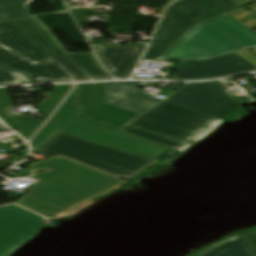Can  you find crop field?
I'll return each instance as SVG.
<instances>
[{
  "mask_svg": "<svg viewBox=\"0 0 256 256\" xmlns=\"http://www.w3.org/2000/svg\"><path fill=\"white\" fill-rule=\"evenodd\" d=\"M0 64L52 82L111 77L93 53L68 54L35 17L0 22Z\"/></svg>",
  "mask_w": 256,
  "mask_h": 256,
  "instance_id": "obj_1",
  "label": "crop field"
},
{
  "mask_svg": "<svg viewBox=\"0 0 256 256\" xmlns=\"http://www.w3.org/2000/svg\"><path fill=\"white\" fill-rule=\"evenodd\" d=\"M42 168L51 171L32 174ZM29 174L39 181L15 203L49 219L125 182L62 157L32 164Z\"/></svg>",
  "mask_w": 256,
  "mask_h": 256,
  "instance_id": "obj_2",
  "label": "crop field"
},
{
  "mask_svg": "<svg viewBox=\"0 0 256 256\" xmlns=\"http://www.w3.org/2000/svg\"><path fill=\"white\" fill-rule=\"evenodd\" d=\"M76 91L77 87L51 121L30 142L34 151L39 150L58 133H63L160 162L176 152L122 130L119 131L79 116L75 106Z\"/></svg>",
  "mask_w": 256,
  "mask_h": 256,
  "instance_id": "obj_3",
  "label": "crop field"
},
{
  "mask_svg": "<svg viewBox=\"0 0 256 256\" xmlns=\"http://www.w3.org/2000/svg\"><path fill=\"white\" fill-rule=\"evenodd\" d=\"M37 153L62 155L115 176L135 177L157 161L58 134Z\"/></svg>",
  "mask_w": 256,
  "mask_h": 256,
  "instance_id": "obj_4",
  "label": "crop field"
},
{
  "mask_svg": "<svg viewBox=\"0 0 256 256\" xmlns=\"http://www.w3.org/2000/svg\"><path fill=\"white\" fill-rule=\"evenodd\" d=\"M190 7L198 14H177L181 9ZM237 8L239 5L234 0H183L171 4L164 13L143 58L156 60L195 23Z\"/></svg>",
  "mask_w": 256,
  "mask_h": 256,
  "instance_id": "obj_5",
  "label": "crop field"
},
{
  "mask_svg": "<svg viewBox=\"0 0 256 256\" xmlns=\"http://www.w3.org/2000/svg\"><path fill=\"white\" fill-rule=\"evenodd\" d=\"M246 49L248 48L206 20L190 28L157 60H204Z\"/></svg>",
  "mask_w": 256,
  "mask_h": 256,
  "instance_id": "obj_6",
  "label": "crop field"
},
{
  "mask_svg": "<svg viewBox=\"0 0 256 256\" xmlns=\"http://www.w3.org/2000/svg\"><path fill=\"white\" fill-rule=\"evenodd\" d=\"M212 119L162 101L128 125L189 140Z\"/></svg>",
  "mask_w": 256,
  "mask_h": 256,
  "instance_id": "obj_7",
  "label": "crop field"
},
{
  "mask_svg": "<svg viewBox=\"0 0 256 256\" xmlns=\"http://www.w3.org/2000/svg\"><path fill=\"white\" fill-rule=\"evenodd\" d=\"M165 102L216 118L235 101L213 82H207L186 84Z\"/></svg>",
  "mask_w": 256,
  "mask_h": 256,
  "instance_id": "obj_8",
  "label": "crop field"
},
{
  "mask_svg": "<svg viewBox=\"0 0 256 256\" xmlns=\"http://www.w3.org/2000/svg\"><path fill=\"white\" fill-rule=\"evenodd\" d=\"M105 87L106 83L79 85L78 103L83 115L118 129L141 115L104 102Z\"/></svg>",
  "mask_w": 256,
  "mask_h": 256,
  "instance_id": "obj_9",
  "label": "crop field"
},
{
  "mask_svg": "<svg viewBox=\"0 0 256 256\" xmlns=\"http://www.w3.org/2000/svg\"><path fill=\"white\" fill-rule=\"evenodd\" d=\"M42 219L15 205L0 208V256L42 226Z\"/></svg>",
  "mask_w": 256,
  "mask_h": 256,
  "instance_id": "obj_10",
  "label": "crop field"
},
{
  "mask_svg": "<svg viewBox=\"0 0 256 256\" xmlns=\"http://www.w3.org/2000/svg\"><path fill=\"white\" fill-rule=\"evenodd\" d=\"M252 69L256 66L233 53L205 61H183L172 79L219 77Z\"/></svg>",
  "mask_w": 256,
  "mask_h": 256,
  "instance_id": "obj_11",
  "label": "crop field"
},
{
  "mask_svg": "<svg viewBox=\"0 0 256 256\" xmlns=\"http://www.w3.org/2000/svg\"><path fill=\"white\" fill-rule=\"evenodd\" d=\"M146 44H132L128 47L94 46L103 65L115 76H130Z\"/></svg>",
  "mask_w": 256,
  "mask_h": 256,
  "instance_id": "obj_12",
  "label": "crop field"
},
{
  "mask_svg": "<svg viewBox=\"0 0 256 256\" xmlns=\"http://www.w3.org/2000/svg\"><path fill=\"white\" fill-rule=\"evenodd\" d=\"M137 87H143L142 82L107 83L105 101L141 114L162 101L137 94Z\"/></svg>",
  "mask_w": 256,
  "mask_h": 256,
  "instance_id": "obj_13",
  "label": "crop field"
},
{
  "mask_svg": "<svg viewBox=\"0 0 256 256\" xmlns=\"http://www.w3.org/2000/svg\"><path fill=\"white\" fill-rule=\"evenodd\" d=\"M12 103L4 88H0V118L12 129H16L25 139H30L33 134L41 127L44 121L37 120L24 115L15 116L8 108Z\"/></svg>",
  "mask_w": 256,
  "mask_h": 256,
  "instance_id": "obj_14",
  "label": "crop field"
},
{
  "mask_svg": "<svg viewBox=\"0 0 256 256\" xmlns=\"http://www.w3.org/2000/svg\"><path fill=\"white\" fill-rule=\"evenodd\" d=\"M209 20L249 49L256 47V34L228 15L224 14Z\"/></svg>",
  "mask_w": 256,
  "mask_h": 256,
  "instance_id": "obj_15",
  "label": "crop field"
},
{
  "mask_svg": "<svg viewBox=\"0 0 256 256\" xmlns=\"http://www.w3.org/2000/svg\"><path fill=\"white\" fill-rule=\"evenodd\" d=\"M200 256H256V253L241 235L209 248Z\"/></svg>",
  "mask_w": 256,
  "mask_h": 256,
  "instance_id": "obj_16",
  "label": "crop field"
},
{
  "mask_svg": "<svg viewBox=\"0 0 256 256\" xmlns=\"http://www.w3.org/2000/svg\"><path fill=\"white\" fill-rule=\"evenodd\" d=\"M33 0H0V21L31 17L27 5Z\"/></svg>",
  "mask_w": 256,
  "mask_h": 256,
  "instance_id": "obj_17",
  "label": "crop field"
},
{
  "mask_svg": "<svg viewBox=\"0 0 256 256\" xmlns=\"http://www.w3.org/2000/svg\"><path fill=\"white\" fill-rule=\"evenodd\" d=\"M71 86L72 85L55 86L53 92L50 94L51 98L43 100L38 104L40 113L50 115Z\"/></svg>",
  "mask_w": 256,
  "mask_h": 256,
  "instance_id": "obj_18",
  "label": "crop field"
},
{
  "mask_svg": "<svg viewBox=\"0 0 256 256\" xmlns=\"http://www.w3.org/2000/svg\"><path fill=\"white\" fill-rule=\"evenodd\" d=\"M122 130L130 132V133L135 134V135H138L140 137L146 138L148 140L154 141L156 143L162 144L164 146L170 147L172 149L177 148L178 146H180L181 144H183L185 142V141H179V140L164 139L162 137L150 134L146 131L137 130V129L131 128L129 126H127L126 128H124Z\"/></svg>",
  "mask_w": 256,
  "mask_h": 256,
  "instance_id": "obj_19",
  "label": "crop field"
},
{
  "mask_svg": "<svg viewBox=\"0 0 256 256\" xmlns=\"http://www.w3.org/2000/svg\"><path fill=\"white\" fill-rule=\"evenodd\" d=\"M222 121L215 119L211 121L204 129H202L199 133H197L193 138H191L189 141L195 143L199 141L203 136L210 133L214 128H216Z\"/></svg>",
  "mask_w": 256,
  "mask_h": 256,
  "instance_id": "obj_20",
  "label": "crop field"
},
{
  "mask_svg": "<svg viewBox=\"0 0 256 256\" xmlns=\"http://www.w3.org/2000/svg\"><path fill=\"white\" fill-rule=\"evenodd\" d=\"M14 81L10 70L0 65V84H15Z\"/></svg>",
  "mask_w": 256,
  "mask_h": 256,
  "instance_id": "obj_21",
  "label": "crop field"
},
{
  "mask_svg": "<svg viewBox=\"0 0 256 256\" xmlns=\"http://www.w3.org/2000/svg\"><path fill=\"white\" fill-rule=\"evenodd\" d=\"M237 54L242 56L243 58H245L252 64L256 65V58L251 54V52L249 50L238 52Z\"/></svg>",
  "mask_w": 256,
  "mask_h": 256,
  "instance_id": "obj_22",
  "label": "crop field"
},
{
  "mask_svg": "<svg viewBox=\"0 0 256 256\" xmlns=\"http://www.w3.org/2000/svg\"><path fill=\"white\" fill-rule=\"evenodd\" d=\"M256 252V232L243 235Z\"/></svg>",
  "mask_w": 256,
  "mask_h": 256,
  "instance_id": "obj_23",
  "label": "crop field"
},
{
  "mask_svg": "<svg viewBox=\"0 0 256 256\" xmlns=\"http://www.w3.org/2000/svg\"><path fill=\"white\" fill-rule=\"evenodd\" d=\"M36 233H38V231L32 233L30 236H28L27 238H25L23 241H21L20 243H18L16 246H14L11 250H9L5 255L3 256H8L10 253H12L16 248H18L20 245H22L23 243L27 242L33 235H35ZM34 237V236H33Z\"/></svg>",
  "mask_w": 256,
  "mask_h": 256,
  "instance_id": "obj_24",
  "label": "crop field"
},
{
  "mask_svg": "<svg viewBox=\"0 0 256 256\" xmlns=\"http://www.w3.org/2000/svg\"><path fill=\"white\" fill-rule=\"evenodd\" d=\"M180 155H181V153L177 152V153H175L174 155H172L170 158H168L167 160H165L163 163L167 164V163L173 161L175 158H177V157L180 156Z\"/></svg>",
  "mask_w": 256,
  "mask_h": 256,
  "instance_id": "obj_25",
  "label": "crop field"
},
{
  "mask_svg": "<svg viewBox=\"0 0 256 256\" xmlns=\"http://www.w3.org/2000/svg\"><path fill=\"white\" fill-rule=\"evenodd\" d=\"M192 143L186 142L183 145H181L180 147H178L177 149H175L176 151H183L184 149H186L188 146H190Z\"/></svg>",
  "mask_w": 256,
  "mask_h": 256,
  "instance_id": "obj_26",
  "label": "crop field"
},
{
  "mask_svg": "<svg viewBox=\"0 0 256 256\" xmlns=\"http://www.w3.org/2000/svg\"><path fill=\"white\" fill-rule=\"evenodd\" d=\"M179 13H196L192 8L181 10Z\"/></svg>",
  "mask_w": 256,
  "mask_h": 256,
  "instance_id": "obj_27",
  "label": "crop field"
},
{
  "mask_svg": "<svg viewBox=\"0 0 256 256\" xmlns=\"http://www.w3.org/2000/svg\"><path fill=\"white\" fill-rule=\"evenodd\" d=\"M169 4L175 2V1H179V0H167Z\"/></svg>",
  "mask_w": 256,
  "mask_h": 256,
  "instance_id": "obj_28",
  "label": "crop field"
},
{
  "mask_svg": "<svg viewBox=\"0 0 256 256\" xmlns=\"http://www.w3.org/2000/svg\"><path fill=\"white\" fill-rule=\"evenodd\" d=\"M251 51L254 53V55L256 56V48L255 49H251Z\"/></svg>",
  "mask_w": 256,
  "mask_h": 256,
  "instance_id": "obj_29",
  "label": "crop field"
},
{
  "mask_svg": "<svg viewBox=\"0 0 256 256\" xmlns=\"http://www.w3.org/2000/svg\"><path fill=\"white\" fill-rule=\"evenodd\" d=\"M0 130H7V128H0Z\"/></svg>",
  "mask_w": 256,
  "mask_h": 256,
  "instance_id": "obj_30",
  "label": "crop field"
},
{
  "mask_svg": "<svg viewBox=\"0 0 256 256\" xmlns=\"http://www.w3.org/2000/svg\"><path fill=\"white\" fill-rule=\"evenodd\" d=\"M0 127H4V126H2V125L0 124Z\"/></svg>",
  "mask_w": 256,
  "mask_h": 256,
  "instance_id": "obj_31",
  "label": "crop field"
}]
</instances>
